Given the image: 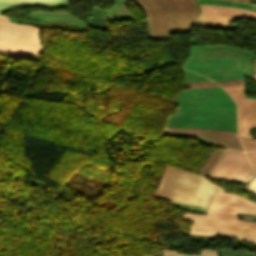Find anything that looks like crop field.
Returning <instances> with one entry per match:
<instances>
[{
	"label": "crop field",
	"instance_id": "obj_11",
	"mask_svg": "<svg viewBox=\"0 0 256 256\" xmlns=\"http://www.w3.org/2000/svg\"><path fill=\"white\" fill-rule=\"evenodd\" d=\"M198 4H215L223 6L238 7L256 11V4L235 2V1H225V0H197Z\"/></svg>",
	"mask_w": 256,
	"mask_h": 256
},
{
	"label": "crop field",
	"instance_id": "obj_14",
	"mask_svg": "<svg viewBox=\"0 0 256 256\" xmlns=\"http://www.w3.org/2000/svg\"><path fill=\"white\" fill-rule=\"evenodd\" d=\"M184 81L183 82H198V81H211L203 76L182 69Z\"/></svg>",
	"mask_w": 256,
	"mask_h": 256
},
{
	"label": "crop field",
	"instance_id": "obj_3",
	"mask_svg": "<svg viewBox=\"0 0 256 256\" xmlns=\"http://www.w3.org/2000/svg\"><path fill=\"white\" fill-rule=\"evenodd\" d=\"M145 14L152 40L169 39L167 34L187 33L198 12L194 0H133Z\"/></svg>",
	"mask_w": 256,
	"mask_h": 256
},
{
	"label": "crop field",
	"instance_id": "obj_12",
	"mask_svg": "<svg viewBox=\"0 0 256 256\" xmlns=\"http://www.w3.org/2000/svg\"><path fill=\"white\" fill-rule=\"evenodd\" d=\"M195 26L206 27V28H215V29L233 30L237 25L197 21L195 23Z\"/></svg>",
	"mask_w": 256,
	"mask_h": 256
},
{
	"label": "crop field",
	"instance_id": "obj_20",
	"mask_svg": "<svg viewBox=\"0 0 256 256\" xmlns=\"http://www.w3.org/2000/svg\"><path fill=\"white\" fill-rule=\"evenodd\" d=\"M250 78H252L253 80L256 81V75H254V76H252V77H250Z\"/></svg>",
	"mask_w": 256,
	"mask_h": 256
},
{
	"label": "crop field",
	"instance_id": "obj_21",
	"mask_svg": "<svg viewBox=\"0 0 256 256\" xmlns=\"http://www.w3.org/2000/svg\"><path fill=\"white\" fill-rule=\"evenodd\" d=\"M235 1H244V2H248L249 0H235Z\"/></svg>",
	"mask_w": 256,
	"mask_h": 256
},
{
	"label": "crop field",
	"instance_id": "obj_7",
	"mask_svg": "<svg viewBox=\"0 0 256 256\" xmlns=\"http://www.w3.org/2000/svg\"><path fill=\"white\" fill-rule=\"evenodd\" d=\"M165 132L199 135L208 140H211L220 145H223L227 148L242 150L241 144L236 136V133H233V132L208 130V129L175 128V127H166ZM224 150L225 149H219L213 152V154L205 163L202 174L206 175L208 173V171L215 165L216 161L218 160V158L220 157V155L223 153Z\"/></svg>",
	"mask_w": 256,
	"mask_h": 256
},
{
	"label": "crop field",
	"instance_id": "obj_16",
	"mask_svg": "<svg viewBox=\"0 0 256 256\" xmlns=\"http://www.w3.org/2000/svg\"><path fill=\"white\" fill-rule=\"evenodd\" d=\"M221 87L243 86L244 80L216 81Z\"/></svg>",
	"mask_w": 256,
	"mask_h": 256
},
{
	"label": "crop field",
	"instance_id": "obj_17",
	"mask_svg": "<svg viewBox=\"0 0 256 256\" xmlns=\"http://www.w3.org/2000/svg\"><path fill=\"white\" fill-rule=\"evenodd\" d=\"M245 151L256 149V141L239 137Z\"/></svg>",
	"mask_w": 256,
	"mask_h": 256
},
{
	"label": "crop field",
	"instance_id": "obj_9",
	"mask_svg": "<svg viewBox=\"0 0 256 256\" xmlns=\"http://www.w3.org/2000/svg\"><path fill=\"white\" fill-rule=\"evenodd\" d=\"M200 7L202 11L200 19L231 23L240 17H246L256 21V12L253 11L215 5H200Z\"/></svg>",
	"mask_w": 256,
	"mask_h": 256
},
{
	"label": "crop field",
	"instance_id": "obj_6",
	"mask_svg": "<svg viewBox=\"0 0 256 256\" xmlns=\"http://www.w3.org/2000/svg\"><path fill=\"white\" fill-rule=\"evenodd\" d=\"M237 58L188 60L184 68L213 80L244 79L243 67L237 68Z\"/></svg>",
	"mask_w": 256,
	"mask_h": 256
},
{
	"label": "crop field",
	"instance_id": "obj_4",
	"mask_svg": "<svg viewBox=\"0 0 256 256\" xmlns=\"http://www.w3.org/2000/svg\"><path fill=\"white\" fill-rule=\"evenodd\" d=\"M42 50L39 29L11 23L0 15V55L37 60Z\"/></svg>",
	"mask_w": 256,
	"mask_h": 256
},
{
	"label": "crop field",
	"instance_id": "obj_2",
	"mask_svg": "<svg viewBox=\"0 0 256 256\" xmlns=\"http://www.w3.org/2000/svg\"><path fill=\"white\" fill-rule=\"evenodd\" d=\"M175 115L166 126L219 129L236 132V105L221 88L180 91Z\"/></svg>",
	"mask_w": 256,
	"mask_h": 256
},
{
	"label": "crop field",
	"instance_id": "obj_15",
	"mask_svg": "<svg viewBox=\"0 0 256 256\" xmlns=\"http://www.w3.org/2000/svg\"><path fill=\"white\" fill-rule=\"evenodd\" d=\"M192 87H219L214 82H198V83H184L183 88H192Z\"/></svg>",
	"mask_w": 256,
	"mask_h": 256
},
{
	"label": "crop field",
	"instance_id": "obj_10",
	"mask_svg": "<svg viewBox=\"0 0 256 256\" xmlns=\"http://www.w3.org/2000/svg\"><path fill=\"white\" fill-rule=\"evenodd\" d=\"M68 0H0V13L20 7L46 5L47 7H66Z\"/></svg>",
	"mask_w": 256,
	"mask_h": 256
},
{
	"label": "crop field",
	"instance_id": "obj_1",
	"mask_svg": "<svg viewBox=\"0 0 256 256\" xmlns=\"http://www.w3.org/2000/svg\"><path fill=\"white\" fill-rule=\"evenodd\" d=\"M218 186L204 177L166 166L154 196L188 205L206 207ZM209 215L185 213L183 219L194 220L190 234L233 237L256 240V222L238 220L239 217L256 219V203L218 188L208 210ZM226 233V234H214ZM254 244L256 242L250 241Z\"/></svg>",
	"mask_w": 256,
	"mask_h": 256
},
{
	"label": "crop field",
	"instance_id": "obj_5",
	"mask_svg": "<svg viewBox=\"0 0 256 256\" xmlns=\"http://www.w3.org/2000/svg\"><path fill=\"white\" fill-rule=\"evenodd\" d=\"M251 172L254 173L255 169L249 164L244 153L226 150L218 165L208 177L216 180L224 178L228 181L244 183L253 175L252 173L248 178Z\"/></svg>",
	"mask_w": 256,
	"mask_h": 256
},
{
	"label": "crop field",
	"instance_id": "obj_8",
	"mask_svg": "<svg viewBox=\"0 0 256 256\" xmlns=\"http://www.w3.org/2000/svg\"><path fill=\"white\" fill-rule=\"evenodd\" d=\"M236 101L238 108V135L253 139L248 128H256V99H246L243 87L223 88Z\"/></svg>",
	"mask_w": 256,
	"mask_h": 256
},
{
	"label": "crop field",
	"instance_id": "obj_13",
	"mask_svg": "<svg viewBox=\"0 0 256 256\" xmlns=\"http://www.w3.org/2000/svg\"><path fill=\"white\" fill-rule=\"evenodd\" d=\"M164 256H217L216 251L205 249L201 250L200 254L198 255H188L185 253H178L177 251H171V250H163Z\"/></svg>",
	"mask_w": 256,
	"mask_h": 256
},
{
	"label": "crop field",
	"instance_id": "obj_19",
	"mask_svg": "<svg viewBox=\"0 0 256 256\" xmlns=\"http://www.w3.org/2000/svg\"><path fill=\"white\" fill-rule=\"evenodd\" d=\"M247 191L255 193L256 194V177L253 179L250 186L247 188Z\"/></svg>",
	"mask_w": 256,
	"mask_h": 256
},
{
	"label": "crop field",
	"instance_id": "obj_18",
	"mask_svg": "<svg viewBox=\"0 0 256 256\" xmlns=\"http://www.w3.org/2000/svg\"><path fill=\"white\" fill-rule=\"evenodd\" d=\"M246 153L249 158V161L256 168V151H250V152H246Z\"/></svg>",
	"mask_w": 256,
	"mask_h": 256
}]
</instances>
